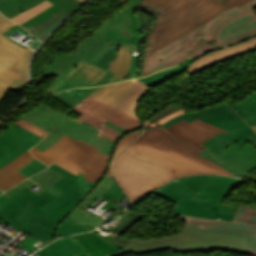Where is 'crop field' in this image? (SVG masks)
<instances>
[{
  "mask_svg": "<svg viewBox=\"0 0 256 256\" xmlns=\"http://www.w3.org/2000/svg\"><path fill=\"white\" fill-rule=\"evenodd\" d=\"M50 5H52V4H50L49 2L46 1L42 4H40V5L24 12L25 14H23V15L21 14V15L15 17V18H13L12 20L20 24V23L24 22L25 20L29 19L30 17H32V16L36 15L37 13L41 12L45 8L49 7Z\"/></svg>",
  "mask_w": 256,
  "mask_h": 256,
  "instance_id": "crop-field-34",
  "label": "crop field"
},
{
  "mask_svg": "<svg viewBox=\"0 0 256 256\" xmlns=\"http://www.w3.org/2000/svg\"><path fill=\"white\" fill-rule=\"evenodd\" d=\"M2 192L0 191V194H1Z\"/></svg>",
  "mask_w": 256,
  "mask_h": 256,
  "instance_id": "crop-field-46",
  "label": "crop field"
},
{
  "mask_svg": "<svg viewBox=\"0 0 256 256\" xmlns=\"http://www.w3.org/2000/svg\"><path fill=\"white\" fill-rule=\"evenodd\" d=\"M142 131L143 129L123 136L117 142L112 157L98 153L96 151L99 149L79 139L76 141L66 135L43 152L35 147L30 149V151L35 157L47 165L54 162L75 175H78L80 171L87 180L98 184L104 175L114 176L116 157L119 156Z\"/></svg>",
  "mask_w": 256,
  "mask_h": 256,
  "instance_id": "crop-field-6",
  "label": "crop field"
},
{
  "mask_svg": "<svg viewBox=\"0 0 256 256\" xmlns=\"http://www.w3.org/2000/svg\"><path fill=\"white\" fill-rule=\"evenodd\" d=\"M181 219L200 224L199 228L211 231L250 235L246 253L256 256V206L240 207L233 220L234 222L250 223V225L202 220L191 217H181Z\"/></svg>",
  "mask_w": 256,
  "mask_h": 256,
  "instance_id": "crop-field-12",
  "label": "crop field"
},
{
  "mask_svg": "<svg viewBox=\"0 0 256 256\" xmlns=\"http://www.w3.org/2000/svg\"><path fill=\"white\" fill-rule=\"evenodd\" d=\"M135 10L129 9L117 23L110 27L100 37L120 42L123 44H129L132 52V67L130 73L138 76V61L140 55V36L143 30L141 18L135 16ZM134 50H137L138 55H133Z\"/></svg>",
  "mask_w": 256,
  "mask_h": 256,
  "instance_id": "crop-field-13",
  "label": "crop field"
},
{
  "mask_svg": "<svg viewBox=\"0 0 256 256\" xmlns=\"http://www.w3.org/2000/svg\"><path fill=\"white\" fill-rule=\"evenodd\" d=\"M178 109H181V108H179L178 106H176V105L173 103L172 105H170L169 107L165 108L164 110H162L161 112H159L157 115H155L154 117H152V118H151L150 120H148V121H150V122L153 123V122H155V121L161 119L162 117H164V116H166V115H168V114H170V113H172V112L178 110Z\"/></svg>",
  "mask_w": 256,
  "mask_h": 256,
  "instance_id": "crop-field-37",
  "label": "crop field"
},
{
  "mask_svg": "<svg viewBox=\"0 0 256 256\" xmlns=\"http://www.w3.org/2000/svg\"><path fill=\"white\" fill-rule=\"evenodd\" d=\"M7 155H8L7 153H5L3 150L0 149V159L4 158Z\"/></svg>",
  "mask_w": 256,
  "mask_h": 256,
  "instance_id": "crop-field-44",
  "label": "crop field"
},
{
  "mask_svg": "<svg viewBox=\"0 0 256 256\" xmlns=\"http://www.w3.org/2000/svg\"><path fill=\"white\" fill-rule=\"evenodd\" d=\"M49 167L65 176L40 195L27 187L9 199L0 195V220L45 243L93 229L103 218L84 209L97 197L109 201L124 193L114 178L104 176L96 185L81 173L77 177L55 164Z\"/></svg>",
  "mask_w": 256,
  "mask_h": 256,
  "instance_id": "crop-field-2",
  "label": "crop field"
},
{
  "mask_svg": "<svg viewBox=\"0 0 256 256\" xmlns=\"http://www.w3.org/2000/svg\"><path fill=\"white\" fill-rule=\"evenodd\" d=\"M256 50V37L224 49L211 51L194 61L186 70L190 76L221 61Z\"/></svg>",
  "mask_w": 256,
  "mask_h": 256,
  "instance_id": "crop-field-16",
  "label": "crop field"
},
{
  "mask_svg": "<svg viewBox=\"0 0 256 256\" xmlns=\"http://www.w3.org/2000/svg\"><path fill=\"white\" fill-rule=\"evenodd\" d=\"M203 176V178H201ZM210 175H194L177 179L162 187L155 194L177 202L173 213L203 217L207 219H217L232 221L237 207L219 204L221 200L236 186L244 181L226 176L214 177L200 192L193 198L207 200L203 202L184 198ZM223 201V200H222Z\"/></svg>",
  "mask_w": 256,
  "mask_h": 256,
  "instance_id": "crop-field-5",
  "label": "crop field"
},
{
  "mask_svg": "<svg viewBox=\"0 0 256 256\" xmlns=\"http://www.w3.org/2000/svg\"><path fill=\"white\" fill-rule=\"evenodd\" d=\"M126 253H128V252L124 251V250H119V251H117V252H115L113 254H110L108 256H121V255L126 254Z\"/></svg>",
  "mask_w": 256,
  "mask_h": 256,
  "instance_id": "crop-field-43",
  "label": "crop field"
},
{
  "mask_svg": "<svg viewBox=\"0 0 256 256\" xmlns=\"http://www.w3.org/2000/svg\"><path fill=\"white\" fill-rule=\"evenodd\" d=\"M62 11L58 7L52 5L49 8L45 9L41 13L37 14L36 16L32 17L31 19L25 21L24 23L20 24L26 30H31L37 25L41 24L42 22L46 21L47 19L51 18L55 14ZM56 16V15H55Z\"/></svg>",
  "mask_w": 256,
  "mask_h": 256,
  "instance_id": "crop-field-29",
  "label": "crop field"
},
{
  "mask_svg": "<svg viewBox=\"0 0 256 256\" xmlns=\"http://www.w3.org/2000/svg\"><path fill=\"white\" fill-rule=\"evenodd\" d=\"M14 22L0 14V30ZM33 51L25 49L0 33V81L13 85H18L27 81L28 63L33 55ZM12 86L0 82V103L8 89Z\"/></svg>",
  "mask_w": 256,
  "mask_h": 256,
  "instance_id": "crop-field-10",
  "label": "crop field"
},
{
  "mask_svg": "<svg viewBox=\"0 0 256 256\" xmlns=\"http://www.w3.org/2000/svg\"><path fill=\"white\" fill-rule=\"evenodd\" d=\"M39 256H72L59 240L37 251Z\"/></svg>",
  "mask_w": 256,
  "mask_h": 256,
  "instance_id": "crop-field-30",
  "label": "crop field"
},
{
  "mask_svg": "<svg viewBox=\"0 0 256 256\" xmlns=\"http://www.w3.org/2000/svg\"><path fill=\"white\" fill-rule=\"evenodd\" d=\"M23 117L50 131L49 134L35 146L42 151L60 140L59 138L65 134L76 140L80 138L100 148L98 152L105 153L109 156H111L114 151L116 143L96 136L98 130L84 122L79 124L75 120L43 103L38 104Z\"/></svg>",
  "mask_w": 256,
  "mask_h": 256,
  "instance_id": "crop-field-8",
  "label": "crop field"
},
{
  "mask_svg": "<svg viewBox=\"0 0 256 256\" xmlns=\"http://www.w3.org/2000/svg\"><path fill=\"white\" fill-rule=\"evenodd\" d=\"M68 14L66 12H61L41 25L37 26L30 32H32L38 39L44 41L46 36L59 24L61 23ZM31 33V34H32Z\"/></svg>",
  "mask_w": 256,
  "mask_h": 256,
  "instance_id": "crop-field-27",
  "label": "crop field"
},
{
  "mask_svg": "<svg viewBox=\"0 0 256 256\" xmlns=\"http://www.w3.org/2000/svg\"><path fill=\"white\" fill-rule=\"evenodd\" d=\"M73 90L74 89H70V91L68 92L65 90L53 96L64 102L67 99V97L73 92Z\"/></svg>",
  "mask_w": 256,
  "mask_h": 256,
  "instance_id": "crop-field-39",
  "label": "crop field"
},
{
  "mask_svg": "<svg viewBox=\"0 0 256 256\" xmlns=\"http://www.w3.org/2000/svg\"><path fill=\"white\" fill-rule=\"evenodd\" d=\"M104 124L108 125V126L111 127L112 129L118 131L119 133H121V134H123V135L129 133V132H127V131H125V130H123V129H121V128H119V127H117V126H115V125H113V124H111V123H109V122H107V121H106Z\"/></svg>",
  "mask_w": 256,
  "mask_h": 256,
  "instance_id": "crop-field-41",
  "label": "crop field"
},
{
  "mask_svg": "<svg viewBox=\"0 0 256 256\" xmlns=\"http://www.w3.org/2000/svg\"><path fill=\"white\" fill-rule=\"evenodd\" d=\"M114 74L107 72L100 80H98L93 86L105 84L109 79H111Z\"/></svg>",
  "mask_w": 256,
  "mask_h": 256,
  "instance_id": "crop-field-40",
  "label": "crop field"
},
{
  "mask_svg": "<svg viewBox=\"0 0 256 256\" xmlns=\"http://www.w3.org/2000/svg\"><path fill=\"white\" fill-rule=\"evenodd\" d=\"M184 113H187V112H185L184 110L181 109V110H179V111H177V112H175V113H173V114H171V115H169V116H167V117H165V118H163V119L157 121V122L154 123V124H151V123H149V122L147 121L145 127H147V126H153V125H160V124H162L163 122L169 120L170 118H172V117H174V116H176V115H179V114H184Z\"/></svg>",
  "mask_w": 256,
  "mask_h": 256,
  "instance_id": "crop-field-38",
  "label": "crop field"
},
{
  "mask_svg": "<svg viewBox=\"0 0 256 256\" xmlns=\"http://www.w3.org/2000/svg\"><path fill=\"white\" fill-rule=\"evenodd\" d=\"M198 155L213 161L223 168L241 176L248 170L256 167L255 164L225 150L221 157L217 156L213 152L210 151V149H206L203 152L199 153ZM232 164V166H231Z\"/></svg>",
  "mask_w": 256,
  "mask_h": 256,
  "instance_id": "crop-field-20",
  "label": "crop field"
},
{
  "mask_svg": "<svg viewBox=\"0 0 256 256\" xmlns=\"http://www.w3.org/2000/svg\"><path fill=\"white\" fill-rule=\"evenodd\" d=\"M131 67V53L129 51L128 45H123L114 63L108 68V70L116 73L111 80L106 84L114 83L117 81H122L128 74Z\"/></svg>",
  "mask_w": 256,
  "mask_h": 256,
  "instance_id": "crop-field-24",
  "label": "crop field"
},
{
  "mask_svg": "<svg viewBox=\"0 0 256 256\" xmlns=\"http://www.w3.org/2000/svg\"><path fill=\"white\" fill-rule=\"evenodd\" d=\"M75 237L92 256H105L119 250V248L103 241L95 230L75 235Z\"/></svg>",
  "mask_w": 256,
  "mask_h": 256,
  "instance_id": "crop-field-23",
  "label": "crop field"
},
{
  "mask_svg": "<svg viewBox=\"0 0 256 256\" xmlns=\"http://www.w3.org/2000/svg\"><path fill=\"white\" fill-rule=\"evenodd\" d=\"M256 36V12L252 10L223 25L217 31V41L209 45H202L192 51L187 57H199L202 54L220 46L226 47L239 43L247 38ZM186 57V58H187Z\"/></svg>",
  "mask_w": 256,
  "mask_h": 256,
  "instance_id": "crop-field-11",
  "label": "crop field"
},
{
  "mask_svg": "<svg viewBox=\"0 0 256 256\" xmlns=\"http://www.w3.org/2000/svg\"><path fill=\"white\" fill-rule=\"evenodd\" d=\"M198 226L186 222L184 230L177 235L149 240H132L123 249L136 254L167 248L174 252H205L217 249L245 253L249 236L210 232L198 229Z\"/></svg>",
  "mask_w": 256,
  "mask_h": 256,
  "instance_id": "crop-field-7",
  "label": "crop field"
},
{
  "mask_svg": "<svg viewBox=\"0 0 256 256\" xmlns=\"http://www.w3.org/2000/svg\"><path fill=\"white\" fill-rule=\"evenodd\" d=\"M196 59H188L182 64L178 65L175 68L163 70L159 73L152 74L148 77L140 78L141 81L148 83L150 86L157 85L183 71L190 66V64Z\"/></svg>",
  "mask_w": 256,
  "mask_h": 256,
  "instance_id": "crop-field-25",
  "label": "crop field"
},
{
  "mask_svg": "<svg viewBox=\"0 0 256 256\" xmlns=\"http://www.w3.org/2000/svg\"><path fill=\"white\" fill-rule=\"evenodd\" d=\"M83 1H86V0H83Z\"/></svg>",
  "mask_w": 256,
  "mask_h": 256,
  "instance_id": "crop-field-47",
  "label": "crop field"
},
{
  "mask_svg": "<svg viewBox=\"0 0 256 256\" xmlns=\"http://www.w3.org/2000/svg\"><path fill=\"white\" fill-rule=\"evenodd\" d=\"M34 158L35 157H33L29 151H26L24 154L0 169V188L3 191H6L24 180L26 177L16 173L15 171L23 167Z\"/></svg>",
  "mask_w": 256,
  "mask_h": 256,
  "instance_id": "crop-field-21",
  "label": "crop field"
},
{
  "mask_svg": "<svg viewBox=\"0 0 256 256\" xmlns=\"http://www.w3.org/2000/svg\"><path fill=\"white\" fill-rule=\"evenodd\" d=\"M106 72L107 71L99 67L81 62L74 68L69 76L61 82L54 93L70 87H90Z\"/></svg>",
  "mask_w": 256,
  "mask_h": 256,
  "instance_id": "crop-field-17",
  "label": "crop field"
},
{
  "mask_svg": "<svg viewBox=\"0 0 256 256\" xmlns=\"http://www.w3.org/2000/svg\"><path fill=\"white\" fill-rule=\"evenodd\" d=\"M140 1H141V0H129L128 4H127V3H126V4H127L130 8L137 9V7H138Z\"/></svg>",
  "mask_w": 256,
  "mask_h": 256,
  "instance_id": "crop-field-42",
  "label": "crop field"
},
{
  "mask_svg": "<svg viewBox=\"0 0 256 256\" xmlns=\"http://www.w3.org/2000/svg\"><path fill=\"white\" fill-rule=\"evenodd\" d=\"M73 256H89L86 250L71 239V236L59 239Z\"/></svg>",
  "mask_w": 256,
  "mask_h": 256,
  "instance_id": "crop-field-32",
  "label": "crop field"
},
{
  "mask_svg": "<svg viewBox=\"0 0 256 256\" xmlns=\"http://www.w3.org/2000/svg\"><path fill=\"white\" fill-rule=\"evenodd\" d=\"M148 90L149 87L137 79L103 86L73 108L82 114L76 121H84L98 130L101 128L99 136L117 142L123 135L103 123L108 120L130 132L139 130L137 104Z\"/></svg>",
  "mask_w": 256,
  "mask_h": 256,
  "instance_id": "crop-field-4",
  "label": "crop field"
},
{
  "mask_svg": "<svg viewBox=\"0 0 256 256\" xmlns=\"http://www.w3.org/2000/svg\"><path fill=\"white\" fill-rule=\"evenodd\" d=\"M45 0H0V12L10 19ZM68 13H72L80 4L79 0H47Z\"/></svg>",
  "mask_w": 256,
  "mask_h": 256,
  "instance_id": "crop-field-18",
  "label": "crop field"
},
{
  "mask_svg": "<svg viewBox=\"0 0 256 256\" xmlns=\"http://www.w3.org/2000/svg\"><path fill=\"white\" fill-rule=\"evenodd\" d=\"M128 9L129 8L125 5L91 37L85 39L71 54L63 53L61 57L59 56L60 58L51 64L46 72L38 79L36 84L41 83L45 77L53 75L58 76L51 89L48 90V95L80 61L85 60L92 64L98 61L113 43L112 41H107L98 37L112 26Z\"/></svg>",
  "mask_w": 256,
  "mask_h": 256,
  "instance_id": "crop-field-9",
  "label": "crop field"
},
{
  "mask_svg": "<svg viewBox=\"0 0 256 256\" xmlns=\"http://www.w3.org/2000/svg\"><path fill=\"white\" fill-rule=\"evenodd\" d=\"M237 113L251 126L256 124V93L243 100L240 104L233 107Z\"/></svg>",
  "mask_w": 256,
  "mask_h": 256,
  "instance_id": "crop-field-26",
  "label": "crop field"
},
{
  "mask_svg": "<svg viewBox=\"0 0 256 256\" xmlns=\"http://www.w3.org/2000/svg\"><path fill=\"white\" fill-rule=\"evenodd\" d=\"M63 175L57 173L56 171L52 170L51 168H47L46 171L39 172L29 178H31L35 183L41 186V188L37 190H33L31 187L36 185L33 182H31L29 179H26L25 181L19 183L17 186L9 189L4 195L11 197L17 192H19L24 187L30 188L34 193L37 195L40 194L42 191L46 190L48 187H50L52 184H54L57 180H59Z\"/></svg>",
  "mask_w": 256,
  "mask_h": 256,
  "instance_id": "crop-field-22",
  "label": "crop field"
},
{
  "mask_svg": "<svg viewBox=\"0 0 256 256\" xmlns=\"http://www.w3.org/2000/svg\"><path fill=\"white\" fill-rule=\"evenodd\" d=\"M196 118L219 126L227 131L247 126V124L240 119L225 103H221L195 113H187L176 116L165 122L163 125L168 127L182 119L188 123Z\"/></svg>",
  "mask_w": 256,
  "mask_h": 256,
  "instance_id": "crop-field-14",
  "label": "crop field"
},
{
  "mask_svg": "<svg viewBox=\"0 0 256 256\" xmlns=\"http://www.w3.org/2000/svg\"><path fill=\"white\" fill-rule=\"evenodd\" d=\"M117 49H110L106 52V55H104L98 62L95 63V65L107 69L112 62L115 60L117 53H115Z\"/></svg>",
  "mask_w": 256,
  "mask_h": 256,
  "instance_id": "crop-field-35",
  "label": "crop field"
},
{
  "mask_svg": "<svg viewBox=\"0 0 256 256\" xmlns=\"http://www.w3.org/2000/svg\"><path fill=\"white\" fill-rule=\"evenodd\" d=\"M220 132L227 133L199 119L147 129L117 159L116 179L135 203L178 177L202 173L239 177L196 155L207 148L201 142Z\"/></svg>",
  "mask_w": 256,
  "mask_h": 256,
  "instance_id": "crop-field-1",
  "label": "crop field"
},
{
  "mask_svg": "<svg viewBox=\"0 0 256 256\" xmlns=\"http://www.w3.org/2000/svg\"><path fill=\"white\" fill-rule=\"evenodd\" d=\"M14 123L17 124L18 126H21L25 129L37 134V135L43 137V138L48 133L47 131H45V130H43V129H41V128L23 120V119H20L17 122H14Z\"/></svg>",
  "mask_w": 256,
  "mask_h": 256,
  "instance_id": "crop-field-36",
  "label": "crop field"
},
{
  "mask_svg": "<svg viewBox=\"0 0 256 256\" xmlns=\"http://www.w3.org/2000/svg\"><path fill=\"white\" fill-rule=\"evenodd\" d=\"M235 141L241 145L248 141L256 146V134L249 126H247L228 132L227 134L220 133L202 144L211 148L216 154L221 155L222 151L227 149Z\"/></svg>",
  "mask_w": 256,
  "mask_h": 256,
  "instance_id": "crop-field-19",
  "label": "crop field"
},
{
  "mask_svg": "<svg viewBox=\"0 0 256 256\" xmlns=\"http://www.w3.org/2000/svg\"><path fill=\"white\" fill-rule=\"evenodd\" d=\"M253 129L256 131V126H253Z\"/></svg>",
  "mask_w": 256,
  "mask_h": 256,
  "instance_id": "crop-field-45",
  "label": "crop field"
},
{
  "mask_svg": "<svg viewBox=\"0 0 256 256\" xmlns=\"http://www.w3.org/2000/svg\"><path fill=\"white\" fill-rule=\"evenodd\" d=\"M44 168H46V166L44 164H42L41 162H39L35 158L30 163H28L26 166H24L23 168L19 169L17 172H19V173L29 177V176L33 175L34 173L43 170Z\"/></svg>",
  "mask_w": 256,
  "mask_h": 256,
  "instance_id": "crop-field-33",
  "label": "crop field"
},
{
  "mask_svg": "<svg viewBox=\"0 0 256 256\" xmlns=\"http://www.w3.org/2000/svg\"><path fill=\"white\" fill-rule=\"evenodd\" d=\"M41 139L43 138L12 123L0 135V148L10 154L0 161V168L21 155Z\"/></svg>",
  "mask_w": 256,
  "mask_h": 256,
  "instance_id": "crop-field-15",
  "label": "crop field"
},
{
  "mask_svg": "<svg viewBox=\"0 0 256 256\" xmlns=\"http://www.w3.org/2000/svg\"><path fill=\"white\" fill-rule=\"evenodd\" d=\"M142 2L161 11L150 36L144 76L182 62L197 46L214 40L221 24L256 8V0Z\"/></svg>",
  "mask_w": 256,
  "mask_h": 256,
  "instance_id": "crop-field-3",
  "label": "crop field"
},
{
  "mask_svg": "<svg viewBox=\"0 0 256 256\" xmlns=\"http://www.w3.org/2000/svg\"><path fill=\"white\" fill-rule=\"evenodd\" d=\"M99 87L95 88H76L75 91L68 97V99L64 102L71 106L72 108L77 105L80 101L86 98L89 94L95 91ZM81 93V95H78Z\"/></svg>",
  "mask_w": 256,
  "mask_h": 256,
  "instance_id": "crop-field-31",
  "label": "crop field"
},
{
  "mask_svg": "<svg viewBox=\"0 0 256 256\" xmlns=\"http://www.w3.org/2000/svg\"><path fill=\"white\" fill-rule=\"evenodd\" d=\"M143 217H144V215L138 214L136 217H134L131 221H129L125 226H123L115 234L111 233L108 236H102L101 234L100 235H101L102 239H104L120 248H123L131 241V239H125V238H121L119 236L122 235L124 232H126L129 228H131L134 224H136Z\"/></svg>",
  "mask_w": 256,
  "mask_h": 256,
  "instance_id": "crop-field-28",
  "label": "crop field"
}]
</instances>
